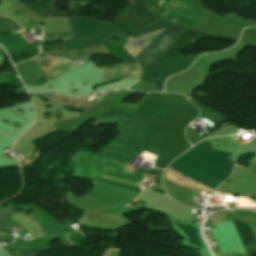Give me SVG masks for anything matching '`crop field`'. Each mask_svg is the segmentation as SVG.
I'll return each instance as SVG.
<instances>
[{"label": "crop field", "mask_w": 256, "mask_h": 256, "mask_svg": "<svg viewBox=\"0 0 256 256\" xmlns=\"http://www.w3.org/2000/svg\"><path fill=\"white\" fill-rule=\"evenodd\" d=\"M92 54H110L104 46L84 48L69 51H55L53 53H44L46 57H62L72 61H77L87 55ZM71 61V62H72ZM68 60L52 58L49 68H41L46 80L60 77L75 64ZM24 84L42 85L35 80L36 77H44L35 59L21 62L15 66ZM140 67L138 63L121 64L111 68H106L104 83L127 78H138Z\"/></svg>", "instance_id": "crop-field-1"}, {"label": "crop field", "mask_w": 256, "mask_h": 256, "mask_svg": "<svg viewBox=\"0 0 256 256\" xmlns=\"http://www.w3.org/2000/svg\"><path fill=\"white\" fill-rule=\"evenodd\" d=\"M187 29L183 26H170L160 36H158L150 45H148L137 57H135L140 67L147 66L152 63L156 58L161 56L171 45L173 38L181 34ZM157 60V59H156Z\"/></svg>", "instance_id": "crop-field-2"}, {"label": "crop field", "mask_w": 256, "mask_h": 256, "mask_svg": "<svg viewBox=\"0 0 256 256\" xmlns=\"http://www.w3.org/2000/svg\"><path fill=\"white\" fill-rule=\"evenodd\" d=\"M233 223L238 232L239 237L241 238V242L244 246L245 251H256V239L252 234L250 226L241 221H233Z\"/></svg>", "instance_id": "crop-field-3"}, {"label": "crop field", "mask_w": 256, "mask_h": 256, "mask_svg": "<svg viewBox=\"0 0 256 256\" xmlns=\"http://www.w3.org/2000/svg\"><path fill=\"white\" fill-rule=\"evenodd\" d=\"M164 30L165 29L151 32L136 39H129L125 48L135 57Z\"/></svg>", "instance_id": "crop-field-4"}, {"label": "crop field", "mask_w": 256, "mask_h": 256, "mask_svg": "<svg viewBox=\"0 0 256 256\" xmlns=\"http://www.w3.org/2000/svg\"><path fill=\"white\" fill-rule=\"evenodd\" d=\"M163 176L172 181H175L185 187L193 186V187H196V188L203 190L207 193H210V194L213 193V190H211V189H209V188H207V187H205V186H203V185H201V184H199V183H197V182H195V181H193V180H191V179H189V178H187L169 168H167V170Z\"/></svg>", "instance_id": "crop-field-5"}, {"label": "crop field", "mask_w": 256, "mask_h": 256, "mask_svg": "<svg viewBox=\"0 0 256 256\" xmlns=\"http://www.w3.org/2000/svg\"><path fill=\"white\" fill-rule=\"evenodd\" d=\"M176 6H178L181 10H178L176 7L169 5L168 9L176 14L188 17L190 19L195 20L198 16L195 14V12L189 7L187 6L184 2L180 1V0H173L172 2H170Z\"/></svg>", "instance_id": "crop-field-6"}, {"label": "crop field", "mask_w": 256, "mask_h": 256, "mask_svg": "<svg viewBox=\"0 0 256 256\" xmlns=\"http://www.w3.org/2000/svg\"><path fill=\"white\" fill-rule=\"evenodd\" d=\"M22 30L17 23L11 19L0 17V33L16 32Z\"/></svg>", "instance_id": "crop-field-7"}, {"label": "crop field", "mask_w": 256, "mask_h": 256, "mask_svg": "<svg viewBox=\"0 0 256 256\" xmlns=\"http://www.w3.org/2000/svg\"><path fill=\"white\" fill-rule=\"evenodd\" d=\"M72 36H73L72 32L68 31V32H62V33H55V34L46 35V39L47 40H49V39H69Z\"/></svg>", "instance_id": "crop-field-8"}, {"label": "crop field", "mask_w": 256, "mask_h": 256, "mask_svg": "<svg viewBox=\"0 0 256 256\" xmlns=\"http://www.w3.org/2000/svg\"><path fill=\"white\" fill-rule=\"evenodd\" d=\"M216 256H247L246 253H227V254H218Z\"/></svg>", "instance_id": "crop-field-9"}, {"label": "crop field", "mask_w": 256, "mask_h": 256, "mask_svg": "<svg viewBox=\"0 0 256 256\" xmlns=\"http://www.w3.org/2000/svg\"><path fill=\"white\" fill-rule=\"evenodd\" d=\"M0 233H3V232H0ZM4 234H7V233H4ZM8 235H10V234H8Z\"/></svg>", "instance_id": "crop-field-10"}, {"label": "crop field", "mask_w": 256, "mask_h": 256, "mask_svg": "<svg viewBox=\"0 0 256 256\" xmlns=\"http://www.w3.org/2000/svg\"><path fill=\"white\" fill-rule=\"evenodd\" d=\"M136 201H137V199H136Z\"/></svg>", "instance_id": "crop-field-11"}]
</instances>
